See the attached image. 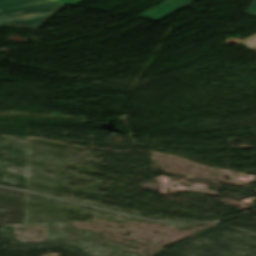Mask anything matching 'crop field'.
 <instances>
[{
	"instance_id": "1",
	"label": "crop field",
	"mask_w": 256,
	"mask_h": 256,
	"mask_svg": "<svg viewBox=\"0 0 256 256\" xmlns=\"http://www.w3.org/2000/svg\"><path fill=\"white\" fill-rule=\"evenodd\" d=\"M62 7L37 0H0V25L39 28Z\"/></svg>"
},
{
	"instance_id": "2",
	"label": "crop field",
	"mask_w": 256,
	"mask_h": 256,
	"mask_svg": "<svg viewBox=\"0 0 256 256\" xmlns=\"http://www.w3.org/2000/svg\"><path fill=\"white\" fill-rule=\"evenodd\" d=\"M185 6L175 4L173 2L165 1L148 11L140 14L138 18H144V19H150V20H156L159 21L172 13L176 12L177 10L183 8Z\"/></svg>"
},
{
	"instance_id": "3",
	"label": "crop field",
	"mask_w": 256,
	"mask_h": 256,
	"mask_svg": "<svg viewBox=\"0 0 256 256\" xmlns=\"http://www.w3.org/2000/svg\"><path fill=\"white\" fill-rule=\"evenodd\" d=\"M245 15L256 17V0H254L247 11L245 12Z\"/></svg>"
},
{
	"instance_id": "4",
	"label": "crop field",
	"mask_w": 256,
	"mask_h": 256,
	"mask_svg": "<svg viewBox=\"0 0 256 256\" xmlns=\"http://www.w3.org/2000/svg\"><path fill=\"white\" fill-rule=\"evenodd\" d=\"M169 1H173L175 3H179V4L186 5V6H190L196 0H169Z\"/></svg>"
},
{
	"instance_id": "5",
	"label": "crop field",
	"mask_w": 256,
	"mask_h": 256,
	"mask_svg": "<svg viewBox=\"0 0 256 256\" xmlns=\"http://www.w3.org/2000/svg\"><path fill=\"white\" fill-rule=\"evenodd\" d=\"M49 1H55V2H59V3L72 5V4L78 3V2L83 1V0H49Z\"/></svg>"
},
{
	"instance_id": "6",
	"label": "crop field",
	"mask_w": 256,
	"mask_h": 256,
	"mask_svg": "<svg viewBox=\"0 0 256 256\" xmlns=\"http://www.w3.org/2000/svg\"><path fill=\"white\" fill-rule=\"evenodd\" d=\"M256 51V49H254Z\"/></svg>"
}]
</instances>
